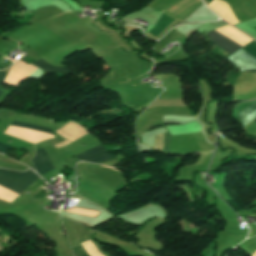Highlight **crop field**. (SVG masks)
Listing matches in <instances>:
<instances>
[{
	"label": "crop field",
	"mask_w": 256,
	"mask_h": 256,
	"mask_svg": "<svg viewBox=\"0 0 256 256\" xmlns=\"http://www.w3.org/2000/svg\"><path fill=\"white\" fill-rule=\"evenodd\" d=\"M38 177L39 176L31 170L19 173L0 168V185L16 193L25 189Z\"/></svg>",
	"instance_id": "1"
},
{
	"label": "crop field",
	"mask_w": 256,
	"mask_h": 256,
	"mask_svg": "<svg viewBox=\"0 0 256 256\" xmlns=\"http://www.w3.org/2000/svg\"><path fill=\"white\" fill-rule=\"evenodd\" d=\"M241 49L256 58V42L253 41ZM241 49L228 57V59L235 67L239 68L240 71H256V59Z\"/></svg>",
	"instance_id": "2"
},
{
	"label": "crop field",
	"mask_w": 256,
	"mask_h": 256,
	"mask_svg": "<svg viewBox=\"0 0 256 256\" xmlns=\"http://www.w3.org/2000/svg\"><path fill=\"white\" fill-rule=\"evenodd\" d=\"M75 157H77L83 161H89V162L107 161V160L115 158L106 152L103 145H100L96 148H93V149L86 151L82 154H79Z\"/></svg>",
	"instance_id": "3"
},
{
	"label": "crop field",
	"mask_w": 256,
	"mask_h": 256,
	"mask_svg": "<svg viewBox=\"0 0 256 256\" xmlns=\"http://www.w3.org/2000/svg\"><path fill=\"white\" fill-rule=\"evenodd\" d=\"M32 162L34 164L36 172L39 175L54 168L48 155L45 153L43 149L36 151V155L34 156Z\"/></svg>",
	"instance_id": "4"
},
{
	"label": "crop field",
	"mask_w": 256,
	"mask_h": 256,
	"mask_svg": "<svg viewBox=\"0 0 256 256\" xmlns=\"http://www.w3.org/2000/svg\"><path fill=\"white\" fill-rule=\"evenodd\" d=\"M11 125L53 135L50 129L44 128V127L34 126V125L20 123V122H16V121H13ZM13 148L14 147L0 143V152H2L4 154H6L9 149H13Z\"/></svg>",
	"instance_id": "5"
},
{
	"label": "crop field",
	"mask_w": 256,
	"mask_h": 256,
	"mask_svg": "<svg viewBox=\"0 0 256 256\" xmlns=\"http://www.w3.org/2000/svg\"><path fill=\"white\" fill-rule=\"evenodd\" d=\"M256 118V103L242 109L237 121L243 126Z\"/></svg>",
	"instance_id": "6"
},
{
	"label": "crop field",
	"mask_w": 256,
	"mask_h": 256,
	"mask_svg": "<svg viewBox=\"0 0 256 256\" xmlns=\"http://www.w3.org/2000/svg\"><path fill=\"white\" fill-rule=\"evenodd\" d=\"M32 64L40 67L47 74H72L66 67L53 68L41 59L33 62Z\"/></svg>",
	"instance_id": "7"
},
{
	"label": "crop field",
	"mask_w": 256,
	"mask_h": 256,
	"mask_svg": "<svg viewBox=\"0 0 256 256\" xmlns=\"http://www.w3.org/2000/svg\"><path fill=\"white\" fill-rule=\"evenodd\" d=\"M74 256H88L80 244L72 247Z\"/></svg>",
	"instance_id": "8"
},
{
	"label": "crop field",
	"mask_w": 256,
	"mask_h": 256,
	"mask_svg": "<svg viewBox=\"0 0 256 256\" xmlns=\"http://www.w3.org/2000/svg\"><path fill=\"white\" fill-rule=\"evenodd\" d=\"M171 135L169 132L164 134V139H163V146L162 150L166 151L168 150L169 142H170Z\"/></svg>",
	"instance_id": "9"
},
{
	"label": "crop field",
	"mask_w": 256,
	"mask_h": 256,
	"mask_svg": "<svg viewBox=\"0 0 256 256\" xmlns=\"http://www.w3.org/2000/svg\"><path fill=\"white\" fill-rule=\"evenodd\" d=\"M7 73H2L0 72V83L2 82V80L4 79V77L6 76ZM3 92L0 91V95L2 94Z\"/></svg>",
	"instance_id": "10"
},
{
	"label": "crop field",
	"mask_w": 256,
	"mask_h": 256,
	"mask_svg": "<svg viewBox=\"0 0 256 256\" xmlns=\"http://www.w3.org/2000/svg\"><path fill=\"white\" fill-rule=\"evenodd\" d=\"M216 0H214L211 4L208 5V7H210Z\"/></svg>",
	"instance_id": "11"
},
{
	"label": "crop field",
	"mask_w": 256,
	"mask_h": 256,
	"mask_svg": "<svg viewBox=\"0 0 256 256\" xmlns=\"http://www.w3.org/2000/svg\"><path fill=\"white\" fill-rule=\"evenodd\" d=\"M254 122H256V120H254Z\"/></svg>",
	"instance_id": "12"
}]
</instances>
